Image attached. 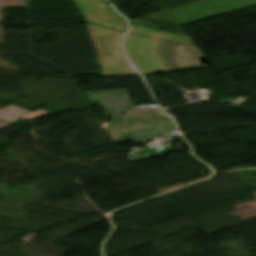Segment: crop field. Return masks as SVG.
<instances>
[{
  "mask_svg": "<svg viewBox=\"0 0 256 256\" xmlns=\"http://www.w3.org/2000/svg\"><path fill=\"white\" fill-rule=\"evenodd\" d=\"M124 48L142 75L200 67L201 52L193 46L128 34Z\"/></svg>",
  "mask_w": 256,
  "mask_h": 256,
  "instance_id": "crop-field-1",
  "label": "crop field"
},
{
  "mask_svg": "<svg viewBox=\"0 0 256 256\" xmlns=\"http://www.w3.org/2000/svg\"><path fill=\"white\" fill-rule=\"evenodd\" d=\"M89 99L101 108L112 111L126 122L128 138L136 140L147 137L168 138L172 136L161 131L160 122L171 121L157 105L137 106L130 101L127 91L87 93ZM121 113H126L125 117Z\"/></svg>",
  "mask_w": 256,
  "mask_h": 256,
  "instance_id": "crop-field-2",
  "label": "crop field"
},
{
  "mask_svg": "<svg viewBox=\"0 0 256 256\" xmlns=\"http://www.w3.org/2000/svg\"><path fill=\"white\" fill-rule=\"evenodd\" d=\"M88 23L126 32L128 24L118 16L105 0H74Z\"/></svg>",
  "mask_w": 256,
  "mask_h": 256,
  "instance_id": "crop-field-3",
  "label": "crop field"
},
{
  "mask_svg": "<svg viewBox=\"0 0 256 256\" xmlns=\"http://www.w3.org/2000/svg\"><path fill=\"white\" fill-rule=\"evenodd\" d=\"M47 114H48V111H44V110H38L36 112H28L21 108L10 105L0 110V119L6 120L9 122H17L20 118L31 120L41 116H45ZM9 125L11 124H8L0 120V129L7 127Z\"/></svg>",
  "mask_w": 256,
  "mask_h": 256,
  "instance_id": "crop-field-4",
  "label": "crop field"
},
{
  "mask_svg": "<svg viewBox=\"0 0 256 256\" xmlns=\"http://www.w3.org/2000/svg\"><path fill=\"white\" fill-rule=\"evenodd\" d=\"M130 32L147 35V36H152V37H157V38H162V39L183 42V43H188V44H193L187 37H184V36L149 30V29L140 28V27H132Z\"/></svg>",
  "mask_w": 256,
  "mask_h": 256,
  "instance_id": "crop-field-5",
  "label": "crop field"
},
{
  "mask_svg": "<svg viewBox=\"0 0 256 256\" xmlns=\"http://www.w3.org/2000/svg\"><path fill=\"white\" fill-rule=\"evenodd\" d=\"M113 121L103 127L109 133L111 139H128L125 130V122L117 116H113ZM120 135L123 137L121 138Z\"/></svg>",
  "mask_w": 256,
  "mask_h": 256,
  "instance_id": "crop-field-6",
  "label": "crop field"
},
{
  "mask_svg": "<svg viewBox=\"0 0 256 256\" xmlns=\"http://www.w3.org/2000/svg\"><path fill=\"white\" fill-rule=\"evenodd\" d=\"M160 125H161L162 130L167 133H172L176 129L173 122L160 123Z\"/></svg>",
  "mask_w": 256,
  "mask_h": 256,
  "instance_id": "crop-field-7",
  "label": "crop field"
}]
</instances>
